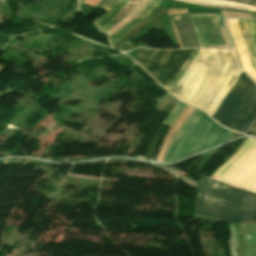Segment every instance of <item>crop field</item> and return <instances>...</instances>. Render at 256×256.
Masks as SVG:
<instances>
[{"label": "crop field", "mask_w": 256, "mask_h": 256, "mask_svg": "<svg viewBox=\"0 0 256 256\" xmlns=\"http://www.w3.org/2000/svg\"><path fill=\"white\" fill-rule=\"evenodd\" d=\"M239 73L232 50L199 49L171 94L212 117Z\"/></svg>", "instance_id": "1"}, {"label": "crop field", "mask_w": 256, "mask_h": 256, "mask_svg": "<svg viewBox=\"0 0 256 256\" xmlns=\"http://www.w3.org/2000/svg\"><path fill=\"white\" fill-rule=\"evenodd\" d=\"M196 216L256 224V194L205 178L199 184Z\"/></svg>", "instance_id": "2"}, {"label": "crop field", "mask_w": 256, "mask_h": 256, "mask_svg": "<svg viewBox=\"0 0 256 256\" xmlns=\"http://www.w3.org/2000/svg\"><path fill=\"white\" fill-rule=\"evenodd\" d=\"M230 136V131L223 129L196 109L173 140L163 162H174L229 141Z\"/></svg>", "instance_id": "3"}, {"label": "crop field", "mask_w": 256, "mask_h": 256, "mask_svg": "<svg viewBox=\"0 0 256 256\" xmlns=\"http://www.w3.org/2000/svg\"><path fill=\"white\" fill-rule=\"evenodd\" d=\"M256 116V85L242 72L212 118L245 133Z\"/></svg>", "instance_id": "4"}, {"label": "crop field", "mask_w": 256, "mask_h": 256, "mask_svg": "<svg viewBox=\"0 0 256 256\" xmlns=\"http://www.w3.org/2000/svg\"><path fill=\"white\" fill-rule=\"evenodd\" d=\"M194 51L142 48L135 61L169 91Z\"/></svg>", "instance_id": "5"}, {"label": "crop field", "mask_w": 256, "mask_h": 256, "mask_svg": "<svg viewBox=\"0 0 256 256\" xmlns=\"http://www.w3.org/2000/svg\"><path fill=\"white\" fill-rule=\"evenodd\" d=\"M190 16H221V14H189ZM200 45H226L227 46H200L216 48H232L229 36L221 17H190Z\"/></svg>", "instance_id": "6"}, {"label": "crop field", "mask_w": 256, "mask_h": 256, "mask_svg": "<svg viewBox=\"0 0 256 256\" xmlns=\"http://www.w3.org/2000/svg\"><path fill=\"white\" fill-rule=\"evenodd\" d=\"M183 47H199L187 13L172 15Z\"/></svg>", "instance_id": "7"}, {"label": "crop field", "mask_w": 256, "mask_h": 256, "mask_svg": "<svg viewBox=\"0 0 256 256\" xmlns=\"http://www.w3.org/2000/svg\"><path fill=\"white\" fill-rule=\"evenodd\" d=\"M181 1H188L196 4H201V5L209 6L211 8L256 12V7L241 4V3H236V2L223 1V0H181Z\"/></svg>", "instance_id": "8"}, {"label": "crop field", "mask_w": 256, "mask_h": 256, "mask_svg": "<svg viewBox=\"0 0 256 256\" xmlns=\"http://www.w3.org/2000/svg\"><path fill=\"white\" fill-rule=\"evenodd\" d=\"M161 0H151V2L126 26L119 29L113 35L108 37L111 45H113L125 32L140 23L160 2Z\"/></svg>", "instance_id": "9"}, {"label": "crop field", "mask_w": 256, "mask_h": 256, "mask_svg": "<svg viewBox=\"0 0 256 256\" xmlns=\"http://www.w3.org/2000/svg\"><path fill=\"white\" fill-rule=\"evenodd\" d=\"M247 256H256V225L241 224Z\"/></svg>", "instance_id": "10"}, {"label": "crop field", "mask_w": 256, "mask_h": 256, "mask_svg": "<svg viewBox=\"0 0 256 256\" xmlns=\"http://www.w3.org/2000/svg\"><path fill=\"white\" fill-rule=\"evenodd\" d=\"M253 67L256 69V54L244 20H237Z\"/></svg>", "instance_id": "11"}, {"label": "crop field", "mask_w": 256, "mask_h": 256, "mask_svg": "<svg viewBox=\"0 0 256 256\" xmlns=\"http://www.w3.org/2000/svg\"><path fill=\"white\" fill-rule=\"evenodd\" d=\"M140 0H130L127 5L114 18L106 23L100 30L104 33L117 24Z\"/></svg>", "instance_id": "12"}, {"label": "crop field", "mask_w": 256, "mask_h": 256, "mask_svg": "<svg viewBox=\"0 0 256 256\" xmlns=\"http://www.w3.org/2000/svg\"><path fill=\"white\" fill-rule=\"evenodd\" d=\"M129 0H120L116 5H114L108 12L102 15L99 19H97L95 24L99 27L103 26L106 22H108L120 9L128 2Z\"/></svg>", "instance_id": "13"}, {"label": "crop field", "mask_w": 256, "mask_h": 256, "mask_svg": "<svg viewBox=\"0 0 256 256\" xmlns=\"http://www.w3.org/2000/svg\"><path fill=\"white\" fill-rule=\"evenodd\" d=\"M256 51V20H245Z\"/></svg>", "instance_id": "14"}, {"label": "crop field", "mask_w": 256, "mask_h": 256, "mask_svg": "<svg viewBox=\"0 0 256 256\" xmlns=\"http://www.w3.org/2000/svg\"><path fill=\"white\" fill-rule=\"evenodd\" d=\"M247 133L251 136L256 137V118L254 119V121L250 125L249 129L247 130Z\"/></svg>", "instance_id": "15"}, {"label": "crop field", "mask_w": 256, "mask_h": 256, "mask_svg": "<svg viewBox=\"0 0 256 256\" xmlns=\"http://www.w3.org/2000/svg\"><path fill=\"white\" fill-rule=\"evenodd\" d=\"M119 0H106L104 4L101 6V8L108 10L111 8L115 3H117Z\"/></svg>", "instance_id": "16"}, {"label": "crop field", "mask_w": 256, "mask_h": 256, "mask_svg": "<svg viewBox=\"0 0 256 256\" xmlns=\"http://www.w3.org/2000/svg\"><path fill=\"white\" fill-rule=\"evenodd\" d=\"M197 51V49H196ZM196 51L194 52V54L196 53ZM194 54L192 55V57L194 56ZM192 57L190 58L189 62L191 61ZM189 62L187 63V65L189 64ZM187 65L185 66V68L183 69V71L181 72V74L179 75V77L177 78L176 82L174 83V85L172 86V88L170 89L169 92L172 91V89L174 88V86L176 85L177 81L179 80V78L181 77L182 73L184 72V70L186 69Z\"/></svg>", "instance_id": "17"}, {"label": "crop field", "mask_w": 256, "mask_h": 256, "mask_svg": "<svg viewBox=\"0 0 256 256\" xmlns=\"http://www.w3.org/2000/svg\"><path fill=\"white\" fill-rule=\"evenodd\" d=\"M230 1H233V0H230ZM238 1H236V2H238ZM241 3H244V2H241ZM250 3L256 4V2H253V1H251ZM245 4H249V3H245ZM253 4H250V5H253ZM254 6H256V5H254Z\"/></svg>", "instance_id": "18"}, {"label": "crop field", "mask_w": 256, "mask_h": 256, "mask_svg": "<svg viewBox=\"0 0 256 256\" xmlns=\"http://www.w3.org/2000/svg\"><path fill=\"white\" fill-rule=\"evenodd\" d=\"M105 0H102L98 5H96L97 7H100L102 4H103V2H104Z\"/></svg>", "instance_id": "19"}, {"label": "crop field", "mask_w": 256, "mask_h": 256, "mask_svg": "<svg viewBox=\"0 0 256 256\" xmlns=\"http://www.w3.org/2000/svg\"><path fill=\"white\" fill-rule=\"evenodd\" d=\"M244 1H248L249 2L250 0H244ZM253 1H256V0H253Z\"/></svg>", "instance_id": "20"}, {"label": "crop field", "mask_w": 256, "mask_h": 256, "mask_svg": "<svg viewBox=\"0 0 256 256\" xmlns=\"http://www.w3.org/2000/svg\"><path fill=\"white\" fill-rule=\"evenodd\" d=\"M83 0H79V3H81Z\"/></svg>", "instance_id": "21"}]
</instances>
